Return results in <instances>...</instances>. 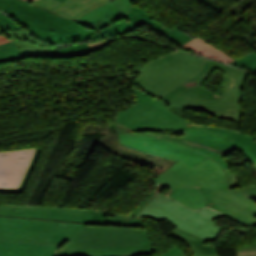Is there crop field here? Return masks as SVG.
<instances>
[{
	"label": "crop field",
	"instance_id": "f4fd0767",
	"mask_svg": "<svg viewBox=\"0 0 256 256\" xmlns=\"http://www.w3.org/2000/svg\"><path fill=\"white\" fill-rule=\"evenodd\" d=\"M204 60L181 51L161 57L140 70L135 85L156 98L201 71Z\"/></svg>",
	"mask_w": 256,
	"mask_h": 256
},
{
	"label": "crop field",
	"instance_id": "d32e631a",
	"mask_svg": "<svg viewBox=\"0 0 256 256\" xmlns=\"http://www.w3.org/2000/svg\"><path fill=\"white\" fill-rule=\"evenodd\" d=\"M253 170H254V172L256 173V166H255V167H253Z\"/></svg>",
	"mask_w": 256,
	"mask_h": 256
},
{
	"label": "crop field",
	"instance_id": "5142ce71",
	"mask_svg": "<svg viewBox=\"0 0 256 256\" xmlns=\"http://www.w3.org/2000/svg\"><path fill=\"white\" fill-rule=\"evenodd\" d=\"M56 248L0 241V256H53Z\"/></svg>",
	"mask_w": 256,
	"mask_h": 256
},
{
	"label": "crop field",
	"instance_id": "bc2a9ffb",
	"mask_svg": "<svg viewBox=\"0 0 256 256\" xmlns=\"http://www.w3.org/2000/svg\"><path fill=\"white\" fill-rule=\"evenodd\" d=\"M153 17L154 16L133 5L131 11L128 13L127 16H125V18L131 21L136 27H139L142 24L146 23L147 25L151 26L152 28L163 34L169 31V29L165 28L160 23L152 20Z\"/></svg>",
	"mask_w": 256,
	"mask_h": 256
},
{
	"label": "crop field",
	"instance_id": "120bbe31",
	"mask_svg": "<svg viewBox=\"0 0 256 256\" xmlns=\"http://www.w3.org/2000/svg\"><path fill=\"white\" fill-rule=\"evenodd\" d=\"M9 42L2 34L0 35V44Z\"/></svg>",
	"mask_w": 256,
	"mask_h": 256
},
{
	"label": "crop field",
	"instance_id": "d8731c3e",
	"mask_svg": "<svg viewBox=\"0 0 256 256\" xmlns=\"http://www.w3.org/2000/svg\"><path fill=\"white\" fill-rule=\"evenodd\" d=\"M207 205L248 226H256V202L233 190L199 188Z\"/></svg>",
	"mask_w": 256,
	"mask_h": 256
},
{
	"label": "crop field",
	"instance_id": "750c4746",
	"mask_svg": "<svg viewBox=\"0 0 256 256\" xmlns=\"http://www.w3.org/2000/svg\"><path fill=\"white\" fill-rule=\"evenodd\" d=\"M235 190L251 199L256 200V184L247 187H241Z\"/></svg>",
	"mask_w": 256,
	"mask_h": 256
},
{
	"label": "crop field",
	"instance_id": "214f88e0",
	"mask_svg": "<svg viewBox=\"0 0 256 256\" xmlns=\"http://www.w3.org/2000/svg\"><path fill=\"white\" fill-rule=\"evenodd\" d=\"M134 28H135V26L132 23H130L125 18H123V19L117 21V23L96 33L89 39H97V38H101V37H112V36H117V35H123L127 32H130Z\"/></svg>",
	"mask_w": 256,
	"mask_h": 256
},
{
	"label": "crop field",
	"instance_id": "bd1437ed",
	"mask_svg": "<svg viewBox=\"0 0 256 256\" xmlns=\"http://www.w3.org/2000/svg\"><path fill=\"white\" fill-rule=\"evenodd\" d=\"M237 256H256V246L236 249Z\"/></svg>",
	"mask_w": 256,
	"mask_h": 256
},
{
	"label": "crop field",
	"instance_id": "412701ff",
	"mask_svg": "<svg viewBox=\"0 0 256 256\" xmlns=\"http://www.w3.org/2000/svg\"><path fill=\"white\" fill-rule=\"evenodd\" d=\"M0 9L13 16L35 37L51 43L83 41L94 31L55 16L23 0H0Z\"/></svg>",
	"mask_w": 256,
	"mask_h": 256
},
{
	"label": "crop field",
	"instance_id": "28ad6ade",
	"mask_svg": "<svg viewBox=\"0 0 256 256\" xmlns=\"http://www.w3.org/2000/svg\"><path fill=\"white\" fill-rule=\"evenodd\" d=\"M110 1L112 0H65L61 3L56 0H35L31 3L76 21L91 9Z\"/></svg>",
	"mask_w": 256,
	"mask_h": 256
},
{
	"label": "crop field",
	"instance_id": "34b2d1b8",
	"mask_svg": "<svg viewBox=\"0 0 256 256\" xmlns=\"http://www.w3.org/2000/svg\"><path fill=\"white\" fill-rule=\"evenodd\" d=\"M220 64L205 60L201 72L157 99L163 100L170 107L202 111L240 123L241 89L249 73ZM216 67L225 73L220 96L202 86Z\"/></svg>",
	"mask_w": 256,
	"mask_h": 256
},
{
	"label": "crop field",
	"instance_id": "a9b5d70f",
	"mask_svg": "<svg viewBox=\"0 0 256 256\" xmlns=\"http://www.w3.org/2000/svg\"><path fill=\"white\" fill-rule=\"evenodd\" d=\"M231 64L256 72V52L240 57Z\"/></svg>",
	"mask_w": 256,
	"mask_h": 256
},
{
	"label": "crop field",
	"instance_id": "92a150f3",
	"mask_svg": "<svg viewBox=\"0 0 256 256\" xmlns=\"http://www.w3.org/2000/svg\"><path fill=\"white\" fill-rule=\"evenodd\" d=\"M93 51L86 43L74 46H52V57H74Z\"/></svg>",
	"mask_w": 256,
	"mask_h": 256
},
{
	"label": "crop field",
	"instance_id": "d9b57169",
	"mask_svg": "<svg viewBox=\"0 0 256 256\" xmlns=\"http://www.w3.org/2000/svg\"><path fill=\"white\" fill-rule=\"evenodd\" d=\"M167 196L193 210L206 206L205 199L198 188H172Z\"/></svg>",
	"mask_w": 256,
	"mask_h": 256
},
{
	"label": "crop field",
	"instance_id": "5a996713",
	"mask_svg": "<svg viewBox=\"0 0 256 256\" xmlns=\"http://www.w3.org/2000/svg\"><path fill=\"white\" fill-rule=\"evenodd\" d=\"M96 210L46 208L1 204L0 215L45 219L64 222L87 223Z\"/></svg>",
	"mask_w": 256,
	"mask_h": 256
},
{
	"label": "crop field",
	"instance_id": "730fd06b",
	"mask_svg": "<svg viewBox=\"0 0 256 256\" xmlns=\"http://www.w3.org/2000/svg\"><path fill=\"white\" fill-rule=\"evenodd\" d=\"M167 37H169L171 40H173L175 43H178L180 45L184 44L185 42L191 40L192 38L183 33L182 31L178 30L177 28L171 29L168 33L165 34Z\"/></svg>",
	"mask_w": 256,
	"mask_h": 256
},
{
	"label": "crop field",
	"instance_id": "e52e79f7",
	"mask_svg": "<svg viewBox=\"0 0 256 256\" xmlns=\"http://www.w3.org/2000/svg\"><path fill=\"white\" fill-rule=\"evenodd\" d=\"M153 181L157 186L229 189L222 169L210 158L191 169L179 161Z\"/></svg>",
	"mask_w": 256,
	"mask_h": 256
},
{
	"label": "crop field",
	"instance_id": "ae1a2a85",
	"mask_svg": "<svg viewBox=\"0 0 256 256\" xmlns=\"http://www.w3.org/2000/svg\"><path fill=\"white\" fill-rule=\"evenodd\" d=\"M227 181L229 183L230 189H235L241 187L238 176L230 172L229 167L223 170Z\"/></svg>",
	"mask_w": 256,
	"mask_h": 256
},
{
	"label": "crop field",
	"instance_id": "5866460e",
	"mask_svg": "<svg viewBox=\"0 0 256 256\" xmlns=\"http://www.w3.org/2000/svg\"><path fill=\"white\" fill-rule=\"evenodd\" d=\"M59 1L63 2L64 0H59Z\"/></svg>",
	"mask_w": 256,
	"mask_h": 256
},
{
	"label": "crop field",
	"instance_id": "1d83c4d3",
	"mask_svg": "<svg viewBox=\"0 0 256 256\" xmlns=\"http://www.w3.org/2000/svg\"><path fill=\"white\" fill-rule=\"evenodd\" d=\"M134 0H126L125 3H124V7H123V10H122V13L123 15H126L127 12H128V9L131 5V3L133 2Z\"/></svg>",
	"mask_w": 256,
	"mask_h": 256
},
{
	"label": "crop field",
	"instance_id": "cbeb9de0",
	"mask_svg": "<svg viewBox=\"0 0 256 256\" xmlns=\"http://www.w3.org/2000/svg\"><path fill=\"white\" fill-rule=\"evenodd\" d=\"M4 34L17 44L25 57H51V45L39 43L25 32L8 31L4 32Z\"/></svg>",
	"mask_w": 256,
	"mask_h": 256
},
{
	"label": "crop field",
	"instance_id": "8a807250",
	"mask_svg": "<svg viewBox=\"0 0 256 256\" xmlns=\"http://www.w3.org/2000/svg\"><path fill=\"white\" fill-rule=\"evenodd\" d=\"M134 94L136 104L120 110L117 122L110 126L120 133V144L138 151L176 161L180 159L190 168L210 157L223 169L229 165L222 157L256 138L235 131L191 125L135 86ZM148 130L182 132L186 136L129 133Z\"/></svg>",
	"mask_w": 256,
	"mask_h": 256
},
{
	"label": "crop field",
	"instance_id": "3316defc",
	"mask_svg": "<svg viewBox=\"0 0 256 256\" xmlns=\"http://www.w3.org/2000/svg\"><path fill=\"white\" fill-rule=\"evenodd\" d=\"M35 149L0 151V187L18 188Z\"/></svg>",
	"mask_w": 256,
	"mask_h": 256
},
{
	"label": "crop field",
	"instance_id": "eef30255",
	"mask_svg": "<svg viewBox=\"0 0 256 256\" xmlns=\"http://www.w3.org/2000/svg\"><path fill=\"white\" fill-rule=\"evenodd\" d=\"M0 29L2 32L7 30H22L16 23L0 13ZM23 31V30H22Z\"/></svg>",
	"mask_w": 256,
	"mask_h": 256
},
{
	"label": "crop field",
	"instance_id": "22f410ed",
	"mask_svg": "<svg viewBox=\"0 0 256 256\" xmlns=\"http://www.w3.org/2000/svg\"><path fill=\"white\" fill-rule=\"evenodd\" d=\"M124 0H114L111 3L104 4L83 16L76 21L95 31L121 19V9Z\"/></svg>",
	"mask_w": 256,
	"mask_h": 256
},
{
	"label": "crop field",
	"instance_id": "4177f3b9",
	"mask_svg": "<svg viewBox=\"0 0 256 256\" xmlns=\"http://www.w3.org/2000/svg\"><path fill=\"white\" fill-rule=\"evenodd\" d=\"M241 150L245 154L246 158L248 159L251 167L256 165V139L247 143Z\"/></svg>",
	"mask_w": 256,
	"mask_h": 256
},
{
	"label": "crop field",
	"instance_id": "ac0d7876",
	"mask_svg": "<svg viewBox=\"0 0 256 256\" xmlns=\"http://www.w3.org/2000/svg\"><path fill=\"white\" fill-rule=\"evenodd\" d=\"M0 240L59 246L54 256H145L146 228L99 226L0 216Z\"/></svg>",
	"mask_w": 256,
	"mask_h": 256
},
{
	"label": "crop field",
	"instance_id": "dafd665d",
	"mask_svg": "<svg viewBox=\"0 0 256 256\" xmlns=\"http://www.w3.org/2000/svg\"><path fill=\"white\" fill-rule=\"evenodd\" d=\"M24 58L14 43L0 45V63Z\"/></svg>",
	"mask_w": 256,
	"mask_h": 256
},
{
	"label": "crop field",
	"instance_id": "d3111659",
	"mask_svg": "<svg viewBox=\"0 0 256 256\" xmlns=\"http://www.w3.org/2000/svg\"><path fill=\"white\" fill-rule=\"evenodd\" d=\"M158 256H186L184 251L180 248L179 244H175L170 247L167 251L161 253Z\"/></svg>",
	"mask_w": 256,
	"mask_h": 256
},
{
	"label": "crop field",
	"instance_id": "733c2abd",
	"mask_svg": "<svg viewBox=\"0 0 256 256\" xmlns=\"http://www.w3.org/2000/svg\"><path fill=\"white\" fill-rule=\"evenodd\" d=\"M170 233L185 241L188 244V246L192 249L193 256H219L216 247L203 245V243L206 240L196 235L182 231L178 228H175Z\"/></svg>",
	"mask_w": 256,
	"mask_h": 256
},
{
	"label": "crop field",
	"instance_id": "d1516ede",
	"mask_svg": "<svg viewBox=\"0 0 256 256\" xmlns=\"http://www.w3.org/2000/svg\"><path fill=\"white\" fill-rule=\"evenodd\" d=\"M163 187H157L156 191L149 195L135 210L128 216L97 210L87 224L100 225H121V226H137L145 227L143 219L136 216L161 190ZM159 189V190H158Z\"/></svg>",
	"mask_w": 256,
	"mask_h": 256
},
{
	"label": "crop field",
	"instance_id": "4a817a6b",
	"mask_svg": "<svg viewBox=\"0 0 256 256\" xmlns=\"http://www.w3.org/2000/svg\"><path fill=\"white\" fill-rule=\"evenodd\" d=\"M184 46L188 47L189 49H191L192 51L198 54L208 56V57L220 60L222 62L230 63L235 60L229 55L225 54L221 50L217 49L216 47L203 41L200 38H196L195 40L187 43Z\"/></svg>",
	"mask_w": 256,
	"mask_h": 256
},
{
	"label": "crop field",
	"instance_id": "dd49c442",
	"mask_svg": "<svg viewBox=\"0 0 256 256\" xmlns=\"http://www.w3.org/2000/svg\"><path fill=\"white\" fill-rule=\"evenodd\" d=\"M138 216L158 221L166 220L180 229L212 241H215L224 229L217 226L214 219L225 217L210 208L192 211L160 193Z\"/></svg>",
	"mask_w": 256,
	"mask_h": 256
},
{
	"label": "crop field",
	"instance_id": "00972430",
	"mask_svg": "<svg viewBox=\"0 0 256 256\" xmlns=\"http://www.w3.org/2000/svg\"><path fill=\"white\" fill-rule=\"evenodd\" d=\"M40 151H41V148L36 149L33 160L31 162V164H30V166H29V168H28V170H27L19 188L18 189L0 188V192H4V193H22L24 191V189L26 187V184L29 180V177H30L35 165H36V162L38 160Z\"/></svg>",
	"mask_w": 256,
	"mask_h": 256
},
{
	"label": "crop field",
	"instance_id": "028f5c9d",
	"mask_svg": "<svg viewBox=\"0 0 256 256\" xmlns=\"http://www.w3.org/2000/svg\"><path fill=\"white\" fill-rule=\"evenodd\" d=\"M256 244V243H255ZM255 244H252V245H255ZM250 246V245H249Z\"/></svg>",
	"mask_w": 256,
	"mask_h": 256
}]
</instances>
